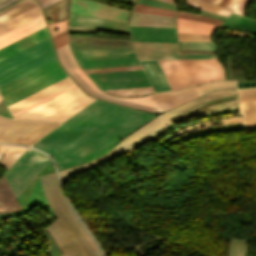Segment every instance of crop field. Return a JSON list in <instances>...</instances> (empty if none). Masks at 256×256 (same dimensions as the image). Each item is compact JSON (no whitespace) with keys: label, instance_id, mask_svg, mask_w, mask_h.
<instances>
[{"label":"crop field","instance_id":"1","mask_svg":"<svg viewBox=\"0 0 256 256\" xmlns=\"http://www.w3.org/2000/svg\"><path fill=\"white\" fill-rule=\"evenodd\" d=\"M151 117L97 100L32 146L51 155L61 169L91 158Z\"/></svg>","mask_w":256,"mask_h":256},{"label":"crop field","instance_id":"2","mask_svg":"<svg viewBox=\"0 0 256 256\" xmlns=\"http://www.w3.org/2000/svg\"><path fill=\"white\" fill-rule=\"evenodd\" d=\"M39 179L46 199L58 218L46 229L62 254L64 256H101L62 196L55 174L50 173Z\"/></svg>","mask_w":256,"mask_h":256},{"label":"crop field","instance_id":"3","mask_svg":"<svg viewBox=\"0 0 256 256\" xmlns=\"http://www.w3.org/2000/svg\"><path fill=\"white\" fill-rule=\"evenodd\" d=\"M235 93H236V89L213 92L211 94L199 97L185 105H182L178 108H175L173 110H170L166 113L159 115L158 117L153 119L151 122H149L142 128L138 129L131 135H129L121 143L119 142L120 144L118 143L119 145H117L115 148H113L107 154H105L91 162H88L86 164L75 167L73 169L59 171L62 183H64L70 176L87 171V170L97 166L98 164L106 161L107 159L113 157L114 155L122 152L123 150H125V149L135 145L136 143L148 138L149 136L161 131L168 124H170L174 119H176L180 114H182L184 111H186L204 101L232 95Z\"/></svg>","mask_w":256,"mask_h":256},{"label":"crop field","instance_id":"4","mask_svg":"<svg viewBox=\"0 0 256 256\" xmlns=\"http://www.w3.org/2000/svg\"><path fill=\"white\" fill-rule=\"evenodd\" d=\"M172 90L223 79L217 59L159 60Z\"/></svg>","mask_w":256,"mask_h":256},{"label":"crop field","instance_id":"5","mask_svg":"<svg viewBox=\"0 0 256 256\" xmlns=\"http://www.w3.org/2000/svg\"><path fill=\"white\" fill-rule=\"evenodd\" d=\"M76 71L89 84V86L92 89L96 90L97 92L107 94V93L101 91L97 87V85L90 79V77L83 71V69L81 67L76 69ZM76 71L74 70V71L70 72V74L73 76V78L81 85V87L87 93H89L91 95H94L98 98H102V99L122 103V104H125V105L137 107V108L152 111V112H161L162 110L165 111V110H167L171 107H174V106H176L180 103H183V102H185L189 99H192V98L198 96V94L194 91V89L192 87L182 89V90H178V91L161 92V93L150 95V97L156 102V104L159 105L162 108V110H161L160 108L150 107V106H154V107H158V106L154 103V101L149 96L140 97V98H122V99L130 100V101L150 105V106H147V105L138 104V103H134V102L119 99L121 97L115 98V97H111L112 95L107 96V95L99 94V93L93 91L87 85V83L78 75V73Z\"/></svg>","mask_w":256,"mask_h":256},{"label":"crop field","instance_id":"6","mask_svg":"<svg viewBox=\"0 0 256 256\" xmlns=\"http://www.w3.org/2000/svg\"><path fill=\"white\" fill-rule=\"evenodd\" d=\"M93 100L75 86L14 118L63 122Z\"/></svg>","mask_w":256,"mask_h":256},{"label":"crop field","instance_id":"7","mask_svg":"<svg viewBox=\"0 0 256 256\" xmlns=\"http://www.w3.org/2000/svg\"><path fill=\"white\" fill-rule=\"evenodd\" d=\"M46 43L48 46L39 50V47ZM55 59L50 38L47 37L1 60L0 87Z\"/></svg>","mask_w":256,"mask_h":256},{"label":"crop field","instance_id":"8","mask_svg":"<svg viewBox=\"0 0 256 256\" xmlns=\"http://www.w3.org/2000/svg\"><path fill=\"white\" fill-rule=\"evenodd\" d=\"M66 76L68 75L61 69L57 61H54L0 88V92L8 106Z\"/></svg>","mask_w":256,"mask_h":256},{"label":"crop field","instance_id":"9","mask_svg":"<svg viewBox=\"0 0 256 256\" xmlns=\"http://www.w3.org/2000/svg\"><path fill=\"white\" fill-rule=\"evenodd\" d=\"M49 162L48 157L37 150L24 151L3 175L16 198Z\"/></svg>","mask_w":256,"mask_h":256},{"label":"crop field","instance_id":"10","mask_svg":"<svg viewBox=\"0 0 256 256\" xmlns=\"http://www.w3.org/2000/svg\"><path fill=\"white\" fill-rule=\"evenodd\" d=\"M139 60L215 58V55L178 53L177 43L132 41Z\"/></svg>","mask_w":256,"mask_h":256},{"label":"crop field","instance_id":"11","mask_svg":"<svg viewBox=\"0 0 256 256\" xmlns=\"http://www.w3.org/2000/svg\"><path fill=\"white\" fill-rule=\"evenodd\" d=\"M103 89L151 86L143 70L89 74Z\"/></svg>","mask_w":256,"mask_h":256},{"label":"crop field","instance_id":"12","mask_svg":"<svg viewBox=\"0 0 256 256\" xmlns=\"http://www.w3.org/2000/svg\"><path fill=\"white\" fill-rule=\"evenodd\" d=\"M70 11L123 22L130 13L87 0H71Z\"/></svg>","mask_w":256,"mask_h":256},{"label":"crop field","instance_id":"13","mask_svg":"<svg viewBox=\"0 0 256 256\" xmlns=\"http://www.w3.org/2000/svg\"><path fill=\"white\" fill-rule=\"evenodd\" d=\"M42 123L13 120L0 116V142L15 143Z\"/></svg>","mask_w":256,"mask_h":256},{"label":"crop field","instance_id":"14","mask_svg":"<svg viewBox=\"0 0 256 256\" xmlns=\"http://www.w3.org/2000/svg\"><path fill=\"white\" fill-rule=\"evenodd\" d=\"M69 26L128 32L127 24L70 12Z\"/></svg>","mask_w":256,"mask_h":256},{"label":"crop field","instance_id":"15","mask_svg":"<svg viewBox=\"0 0 256 256\" xmlns=\"http://www.w3.org/2000/svg\"><path fill=\"white\" fill-rule=\"evenodd\" d=\"M132 40L177 42L174 28L130 26Z\"/></svg>","mask_w":256,"mask_h":256},{"label":"crop field","instance_id":"16","mask_svg":"<svg viewBox=\"0 0 256 256\" xmlns=\"http://www.w3.org/2000/svg\"><path fill=\"white\" fill-rule=\"evenodd\" d=\"M243 129L256 128V88L238 91Z\"/></svg>","mask_w":256,"mask_h":256},{"label":"crop field","instance_id":"17","mask_svg":"<svg viewBox=\"0 0 256 256\" xmlns=\"http://www.w3.org/2000/svg\"><path fill=\"white\" fill-rule=\"evenodd\" d=\"M83 69L139 64L136 56L77 57Z\"/></svg>","mask_w":256,"mask_h":256},{"label":"crop field","instance_id":"18","mask_svg":"<svg viewBox=\"0 0 256 256\" xmlns=\"http://www.w3.org/2000/svg\"><path fill=\"white\" fill-rule=\"evenodd\" d=\"M71 84H73V81L68 76V77H66V78H64V79L50 85V86H48V87H46V88H44V89H42V90H40L36 93L24 98V99L12 104L10 106H8V108H9L10 112L13 114V113H15V112L31 105V104L37 102V101H39V100H41V99H43V98H45V97H47L51 94L63 89V88L71 85Z\"/></svg>","mask_w":256,"mask_h":256},{"label":"crop field","instance_id":"19","mask_svg":"<svg viewBox=\"0 0 256 256\" xmlns=\"http://www.w3.org/2000/svg\"><path fill=\"white\" fill-rule=\"evenodd\" d=\"M45 26L43 15H40L2 35H0V48Z\"/></svg>","mask_w":256,"mask_h":256},{"label":"crop field","instance_id":"20","mask_svg":"<svg viewBox=\"0 0 256 256\" xmlns=\"http://www.w3.org/2000/svg\"><path fill=\"white\" fill-rule=\"evenodd\" d=\"M177 33L211 35L214 27L218 24L198 22L176 18Z\"/></svg>","mask_w":256,"mask_h":256},{"label":"crop field","instance_id":"21","mask_svg":"<svg viewBox=\"0 0 256 256\" xmlns=\"http://www.w3.org/2000/svg\"><path fill=\"white\" fill-rule=\"evenodd\" d=\"M233 99H236V100H233ZM228 100H233V101H228ZM224 101H228V102H224ZM219 102H224V103H220V104H216V105H212V106H208V107H204L200 110H197V111H194V112H191L197 108H200V107H203V106H206V105H210V104H214V103H219ZM233 107H237V96H231V97H227V98H223V99H219V100H215V101H211V102H207V103H204L188 112H186L185 116H181L182 118H180L179 120L176 121L177 122H180V121H183V120H186V119H189V118H192V117H195V116H198V115H202V114H207V113H211V112H216V111H221V110H225V109H229V108H233Z\"/></svg>","mask_w":256,"mask_h":256},{"label":"crop field","instance_id":"22","mask_svg":"<svg viewBox=\"0 0 256 256\" xmlns=\"http://www.w3.org/2000/svg\"><path fill=\"white\" fill-rule=\"evenodd\" d=\"M174 17L133 12L129 25L174 27Z\"/></svg>","mask_w":256,"mask_h":256},{"label":"crop field","instance_id":"23","mask_svg":"<svg viewBox=\"0 0 256 256\" xmlns=\"http://www.w3.org/2000/svg\"><path fill=\"white\" fill-rule=\"evenodd\" d=\"M155 91L171 90L158 61H140Z\"/></svg>","mask_w":256,"mask_h":256},{"label":"crop field","instance_id":"24","mask_svg":"<svg viewBox=\"0 0 256 256\" xmlns=\"http://www.w3.org/2000/svg\"><path fill=\"white\" fill-rule=\"evenodd\" d=\"M46 27H43L3 48L0 49V59L48 36Z\"/></svg>","mask_w":256,"mask_h":256},{"label":"crop field","instance_id":"25","mask_svg":"<svg viewBox=\"0 0 256 256\" xmlns=\"http://www.w3.org/2000/svg\"><path fill=\"white\" fill-rule=\"evenodd\" d=\"M21 208L12 191L4 180L0 179V213L15 211Z\"/></svg>","mask_w":256,"mask_h":256},{"label":"crop field","instance_id":"26","mask_svg":"<svg viewBox=\"0 0 256 256\" xmlns=\"http://www.w3.org/2000/svg\"><path fill=\"white\" fill-rule=\"evenodd\" d=\"M42 14L39 5L0 24V34Z\"/></svg>","mask_w":256,"mask_h":256},{"label":"crop field","instance_id":"27","mask_svg":"<svg viewBox=\"0 0 256 256\" xmlns=\"http://www.w3.org/2000/svg\"><path fill=\"white\" fill-rule=\"evenodd\" d=\"M37 5L36 2L32 0H22L2 11H0V23Z\"/></svg>","mask_w":256,"mask_h":256},{"label":"crop field","instance_id":"28","mask_svg":"<svg viewBox=\"0 0 256 256\" xmlns=\"http://www.w3.org/2000/svg\"><path fill=\"white\" fill-rule=\"evenodd\" d=\"M25 149L19 146L0 145V156L6 151L0 164L9 168Z\"/></svg>","mask_w":256,"mask_h":256},{"label":"crop field","instance_id":"29","mask_svg":"<svg viewBox=\"0 0 256 256\" xmlns=\"http://www.w3.org/2000/svg\"><path fill=\"white\" fill-rule=\"evenodd\" d=\"M76 56L135 55L133 50L73 49Z\"/></svg>","mask_w":256,"mask_h":256},{"label":"crop field","instance_id":"30","mask_svg":"<svg viewBox=\"0 0 256 256\" xmlns=\"http://www.w3.org/2000/svg\"><path fill=\"white\" fill-rule=\"evenodd\" d=\"M56 51H57L58 57H59L62 65L64 66L66 71L69 72V71L79 67L72 52L69 49V45L61 47V48L57 49Z\"/></svg>","mask_w":256,"mask_h":256},{"label":"crop field","instance_id":"31","mask_svg":"<svg viewBox=\"0 0 256 256\" xmlns=\"http://www.w3.org/2000/svg\"><path fill=\"white\" fill-rule=\"evenodd\" d=\"M59 125L58 123H44L40 127H38L36 130L31 132L29 135L24 137L22 140H20L18 143L20 144H27L31 145L33 144L38 138H40L42 135L53 129Z\"/></svg>","mask_w":256,"mask_h":256},{"label":"crop field","instance_id":"32","mask_svg":"<svg viewBox=\"0 0 256 256\" xmlns=\"http://www.w3.org/2000/svg\"><path fill=\"white\" fill-rule=\"evenodd\" d=\"M187 1L193 7L197 8L199 10L214 13V14H218V15H222V16H226V17H228L229 13L232 11L230 9L210 5V4L199 2V1H196V0H187Z\"/></svg>","mask_w":256,"mask_h":256},{"label":"crop field","instance_id":"33","mask_svg":"<svg viewBox=\"0 0 256 256\" xmlns=\"http://www.w3.org/2000/svg\"><path fill=\"white\" fill-rule=\"evenodd\" d=\"M231 119H235V120L226 121V122H219V121H225V120H231ZM213 122H219V123L208 124V123H213ZM232 122H241V116H240V117L226 118V119H220V120H214V121H208V122H203V123L194 124V125L188 126V127H186V128H183V129H181V130H179V131L173 133L172 135H175V134H177V133H179V132H181V131H183V130H185V129L192 128V127L199 126V125H203V124H208V125H204V126H201V127H198V128H194V129H191V130H189V131L196 130V129H199V128H204V127H209V126H215V125H221V124H226V123H232ZM189 131H186V132H189ZM186 132H183V133H186ZM183 133H181V134H183ZM172 135H171V136H172ZM178 135H180V134H178ZM178 135H176V136H178ZM171 136H170V137H171ZM176 136H173V137H171V138L168 137V138H166V139L170 140V139H172V138H174V137H176ZM166 139H164V140H166ZM164 140H162V142H163Z\"/></svg>","mask_w":256,"mask_h":256},{"label":"crop field","instance_id":"34","mask_svg":"<svg viewBox=\"0 0 256 256\" xmlns=\"http://www.w3.org/2000/svg\"><path fill=\"white\" fill-rule=\"evenodd\" d=\"M246 240H231L228 256H245L247 248Z\"/></svg>","mask_w":256,"mask_h":256},{"label":"crop field","instance_id":"35","mask_svg":"<svg viewBox=\"0 0 256 256\" xmlns=\"http://www.w3.org/2000/svg\"><path fill=\"white\" fill-rule=\"evenodd\" d=\"M230 86H235V82L220 81V82H213V83L203 84V85H199V86H194L193 88L196 90V92L198 94H200L205 91L211 90L213 88L230 87ZM220 89H224V88H220ZM213 90H215V89H213ZM208 92H210V91H208ZM205 93H207V92H205Z\"/></svg>","mask_w":256,"mask_h":256},{"label":"crop field","instance_id":"36","mask_svg":"<svg viewBox=\"0 0 256 256\" xmlns=\"http://www.w3.org/2000/svg\"><path fill=\"white\" fill-rule=\"evenodd\" d=\"M106 92L117 94V95H123V96H138L142 94L152 93L154 91L152 87H145V88L121 89V90H109Z\"/></svg>","mask_w":256,"mask_h":256},{"label":"crop field","instance_id":"37","mask_svg":"<svg viewBox=\"0 0 256 256\" xmlns=\"http://www.w3.org/2000/svg\"><path fill=\"white\" fill-rule=\"evenodd\" d=\"M136 5V4H135ZM134 11L174 16L175 11L137 4Z\"/></svg>","mask_w":256,"mask_h":256},{"label":"crop field","instance_id":"38","mask_svg":"<svg viewBox=\"0 0 256 256\" xmlns=\"http://www.w3.org/2000/svg\"><path fill=\"white\" fill-rule=\"evenodd\" d=\"M180 48L215 50L211 42L179 41Z\"/></svg>","mask_w":256,"mask_h":256},{"label":"crop field","instance_id":"39","mask_svg":"<svg viewBox=\"0 0 256 256\" xmlns=\"http://www.w3.org/2000/svg\"><path fill=\"white\" fill-rule=\"evenodd\" d=\"M176 17L205 21V22H212V23H218V24H222V22H223L222 20H218V19H214V18L202 16V15H197V14L179 12V11H177Z\"/></svg>","mask_w":256,"mask_h":256},{"label":"crop field","instance_id":"40","mask_svg":"<svg viewBox=\"0 0 256 256\" xmlns=\"http://www.w3.org/2000/svg\"><path fill=\"white\" fill-rule=\"evenodd\" d=\"M142 69L140 65L135 66H123V67H112V68H101V69H89L85 70L87 73H94V72H108V71H122V70H136Z\"/></svg>","mask_w":256,"mask_h":256},{"label":"crop field","instance_id":"41","mask_svg":"<svg viewBox=\"0 0 256 256\" xmlns=\"http://www.w3.org/2000/svg\"><path fill=\"white\" fill-rule=\"evenodd\" d=\"M179 40L211 41V36L177 34Z\"/></svg>","mask_w":256,"mask_h":256},{"label":"crop field","instance_id":"42","mask_svg":"<svg viewBox=\"0 0 256 256\" xmlns=\"http://www.w3.org/2000/svg\"><path fill=\"white\" fill-rule=\"evenodd\" d=\"M53 40H54V44H55L56 49L65 45V44H67V43H69L68 37H67V32L58 36V37H56V38H54Z\"/></svg>","mask_w":256,"mask_h":256},{"label":"crop field","instance_id":"43","mask_svg":"<svg viewBox=\"0 0 256 256\" xmlns=\"http://www.w3.org/2000/svg\"><path fill=\"white\" fill-rule=\"evenodd\" d=\"M249 1L250 0H240L233 12L242 15V13Z\"/></svg>","mask_w":256,"mask_h":256},{"label":"crop field","instance_id":"44","mask_svg":"<svg viewBox=\"0 0 256 256\" xmlns=\"http://www.w3.org/2000/svg\"><path fill=\"white\" fill-rule=\"evenodd\" d=\"M73 86H75V84H73V85H71V86H69V87H67V88H65V89H63V90H61V91H59V92H57V93H55V94H53V95L47 97V98H45V99H43V100H41V101H39V102H37V103H35V104H33V105L27 107V108H25V109H23V110H21V111H19V112H17V113H15V114H13V116H15V115H17V114H19V113H21V112H23V111H25V110H27V109L33 107V106H35V105H37V104H39V103H41V102H43V101H45V100H47V99H49V98H51V97H53V96H55V95L61 93V92L65 91V90H67V89H69V88H71V87H73Z\"/></svg>","mask_w":256,"mask_h":256},{"label":"crop field","instance_id":"45","mask_svg":"<svg viewBox=\"0 0 256 256\" xmlns=\"http://www.w3.org/2000/svg\"><path fill=\"white\" fill-rule=\"evenodd\" d=\"M17 0H0V9L15 2Z\"/></svg>","mask_w":256,"mask_h":256},{"label":"crop field","instance_id":"46","mask_svg":"<svg viewBox=\"0 0 256 256\" xmlns=\"http://www.w3.org/2000/svg\"><path fill=\"white\" fill-rule=\"evenodd\" d=\"M238 87L256 85V82H237Z\"/></svg>","mask_w":256,"mask_h":256},{"label":"crop field","instance_id":"47","mask_svg":"<svg viewBox=\"0 0 256 256\" xmlns=\"http://www.w3.org/2000/svg\"><path fill=\"white\" fill-rule=\"evenodd\" d=\"M57 1H59V0H47V1L43 2V3H41V4H42L43 8H45V7L55 3Z\"/></svg>","mask_w":256,"mask_h":256},{"label":"crop field","instance_id":"48","mask_svg":"<svg viewBox=\"0 0 256 256\" xmlns=\"http://www.w3.org/2000/svg\"><path fill=\"white\" fill-rule=\"evenodd\" d=\"M209 2H211V3H214V4L218 5V3L220 2V0H209Z\"/></svg>","mask_w":256,"mask_h":256},{"label":"crop field","instance_id":"49","mask_svg":"<svg viewBox=\"0 0 256 256\" xmlns=\"http://www.w3.org/2000/svg\"><path fill=\"white\" fill-rule=\"evenodd\" d=\"M227 2V0H221V2L219 3V5L224 6V4ZM226 5V4H225Z\"/></svg>","mask_w":256,"mask_h":256},{"label":"crop field","instance_id":"50","mask_svg":"<svg viewBox=\"0 0 256 256\" xmlns=\"http://www.w3.org/2000/svg\"><path fill=\"white\" fill-rule=\"evenodd\" d=\"M120 1H124V2H128V3H134L135 0H120Z\"/></svg>","mask_w":256,"mask_h":256},{"label":"crop field","instance_id":"51","mask_svg":"<svg viewBox=\"0 0 256 256\" xmlns=\"http://www.w3.org/2000/svg\"><path fill=\"white\" fill-rule=\"evenodd\" d=\"M238 1H239V0H236V1L234 2V4L231 6L232 9H234V7H235L236 4L238 3Z\"/></svg>","mask_w":256,"mask_h":256},{"label":"crop field","instance_id":"52","mask_svg":"<svg viewBox=\"0 0 256 256\" xmlns=\"http://www.w3.org/2000/svg\"><path fill=\"white\" fill-rule=\"evenodd\" d=\"M161 1H164V2H168V3L174 4V2H173L172 0H161Z\"/></svg>","mask_w":256,"mask_h":256},{"label":"crop field","instance_id":"53","mask_svg":"<svg viewBox=\"0 0 256 256\" xmlns=\"http://www.w3.org/2000/svg\"><path fill=\"white\" fill-rule=\"evenodd\" d=\"M38 1L41 3V2H43V1H45V0H38Z\"/></svg>","mask_w":256,"mask_h":256},{"label":"crop field","instance_id":"54","mask_svg":"<svg viewBox=\"0 0 256 256\" xmlns=\"http://www.w3.org/2000/svg\"><path fill=\"white\" fill-rule=\"evenodd\" d=\"M202 1H206V2H208V0H202Z\"/></svg>","mask_w":256,"mask_h":256},{"label":"crop field","instance_id":"55","mask_svg":"<svg viewBox=\"0 0 256 256\" xmlns=\"http://www.w3.org/2000/svg\"><path fill=\"white\" fill-rule=\"evenodd\" d=\"M0 99H1V97H0Z\"/></svg>","mask_w":256,"mask_h":256}]
</instances>
